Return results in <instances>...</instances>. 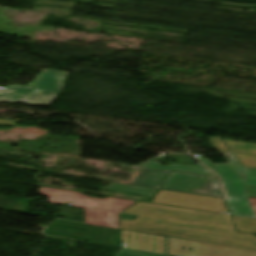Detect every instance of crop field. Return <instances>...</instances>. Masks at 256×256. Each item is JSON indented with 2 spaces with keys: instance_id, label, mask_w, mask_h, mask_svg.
Returning a JSON list of instances; mask_svg holds the SVG:
<instances>
[{
  "instance_id": "crop-field-7",
  "label": "crop field",
  "mask_w": 256,
  "mask_h": 256,
  "mask_svg": "<svg viewBox=\"0 0 256 256\" xmlns=\"http://www.w3.org/2000/svg\"><path fill=\"white\" fill-rule=\"evenodd\" d=\"M211 143L218 149L223 156L234 157L233 154L229 151L220 137H214L210 139ZM232 152H241V153H251L256 154V144L254 143H245V142H236V141H227L224 140Z\"/></svg>"
},
{
  "instance_id": "crop-field-2",
  "label": "crop field",
  "mask_w": 256,
  "mask_h": 256,
  "mask_svg": "<svg viewBox=\"0 0 256 256\" xmlns=\"http://www.w3.org/2000/svg\"><path fill=\"white\" fill-rule=\"evenodd\" d=\"M66 76L64 72L43 71L28 88L13 85L0 89V102L52 105L64 88Z\"/></svg>"
},
{
  "instance_id": "crop-field-9",
  "label": "crop field",
  "mask_w": 256,
  "mask_h": 256,
  "mask_svg": "<svg viewBox=\"0 0 256 256\" xmlns=\"http://www.w3.org/2000/svg\"><path fill=\"white\" fill-rule=\"evenodd\" d=\"M104 189L111 190V191H117V192L149 196V197H153V195L157 191L155 189L135 187V186L124 185V184H114V183H109V185L107 187H105Z\"/></svg>"
},
{
  "instance_id": "crop-field-4",
  "label": "crop field",
  "mask_w": 256,
  "mask_h": 256,
  "mask_svg": "<svg viewBox=\"0 0 256 256\" xmlns=\"http://www.w3.org/2000/svg\"><path fill=\"white\" fill-rule=\"evenodd\" d=\"M153 203L193 208L224 213L227 208L223 199L203 197L160 190L151 201Z\"/></svg>"
},
{
  "instance_id": "crop-field-8",
  "label": "crop field",
  "mask_w": 256,
  "mask_h": 256,
  "mask_svg": "<svg viewBox=\"0 0 256 256\" xmlns=\"http://www.w3.org/2000/svg\"><path fill=\"white\" fill-rule=\"evenodd\" d=\"M197 160L205 165L211 172L216 174L218 177L242 180L230 164L213 165L211 162L205 159L197 158Z\"/></svg>"
},
{
  "instance_id": "crop-field-5",
  "label": "crop field",
  "mask_w": 256,
  "mask_h": 256,
  "mask_svg": "<svg viewBox=\"0 0 256 256\" xmlns=\"http://www.w3.org/2000/svg\"><path fill=\"white\" fill-rule=\"evenodd\" d=\"M216 179L171 172L161 189L206 196Z\"/></svg>"
},
{
  "instance_id": "crop-field-3",
  "label": "crop field",
  "mask_w": 256,
  "mask_h": 256,
  "mask_svg": "<svg viewBox=\"0 0 256 256\" xmlns=\"http://www.w3.org/2000/svg\"><path fill=\"white\" fill-rule=\"evenodd\" d=\"M244 181L218 178L229 210L236 216L256 218L247 196L256 197V169L243 168L236 158L226 157Z\"/></svg>"
},
{
  "instance_id": "crop-field-12",
  "label": "crop field",
  "mask_w": 256,
  "mask_h": 256,
  "mask_svg": "<svg viewBox=\"0 0 256 256\" xmlns=\"http://www.w3.org/2000/svg\"><path fill=\"white\" fill-rule=\"evenodd\" d=\"M114 256H163V255L120 249Z\"/></svg>"
},
{
  "instance_id": "crop-field-13",
  "label": "crop field",
  "mask_w": 256,
  "mask_h": 256,
  "mask_svg": "<svg viewBox=\"0 0 256 256\" xmlns=\"http://www.w3.org/2000/svg\"><path fill=\"white\" fill-rule=\"evenodd\" d=\"M216 183L214 184V186L212 187V189L210 190V192L208 193L207 196L222 198V196L220 194L214 192Z\"/></svg>"
},
{
  "instance_id": "crop-field-1",
  "label": "crop field",
  "mask_w": 256,
  "mask_h": 256,
  "mask_svg": "<svg viewBox=\"0 0 256 256\" xmlns=\"http://www.w3.org/2000/svg\"><path fill=\"white\" fill-rule=\"evenodd\" d=\"M40 194L49 202H73L86 208L85 224L118 229L119 213L135 203L108 197L90 198L82 193L41 188ZM123 214L139 216L135 220L121 219V229L195 241L215 243L256 250V237L236 233L231 216L213 212L139 202ZM237 231L256 234V219L233 216Z\"/></svg>"
},
{
  "instance_id": "crop-field-10",
  "label": "crop field",
  "mask_w": 256,
  "mask_h": 256,
  "mask_svg": "<svg viewBox=\"0 0 256 256\" xmlns=\"http://www.w3.org/2000/svg\"><path fill=\"white\" fill-rule=\"evenodd\" d=\"M142 166L214 176L210 172H208L206 169L201 167L183 166V165L160 166L157 162H154V161H150Z\"/></svg>"
},
{
  "instance_id": "crop-field-14",
  "label": "crop field",
  "mask_w": 256,
  "mask_h": 256,
  "mask_svg": "<svg viewBox=\"0 0 256 256\" xmlns=\"http://www.w3.org/2000/svg\"><path fill=\"white\" fill-rule=\"evenodd\" d=\"M249 202L251 204V206L253 207L255 213H256V198H252V197H248Z\"/></svg>"
},
{
  "instance_id": "crop-field-11",
  "label": "crop field",
  "mask_w": 256,
  "mask_h": 256,
  "mask_svg": "<svg viewBox=\"0 0 256 256\" xmlns=\"http://www.w3.org/2000/svg\"><path fill=\"white\" fill-rule=\"evenodd\" d=\"M243 167L256 168V155L234 153Z\"/></svg>"
},
{
  "instance_id": "crop-field-15",
  "label": "crop field",
  "mask_w": 256,
  "mask_h": 256,
  "mask_svg": "<svg viewBox=\"0 0 256 256\" xmlns=\"http://www.w3.org/2000/svg\"><path fill=\"white\" fill-rule=\"evenodd\" d=\"M0 124L15 125V121L0 120Z\"/></svg>"
},
{
  "instance_id": "crop-field-6",
  "label": "crop field",
  "mask_w": 256,
  "mask_h": 256,
  "mask_svg": "<svg viewBox=\"0 0 256 256\" xmlns=\"http://www.w3.org/2000/svg\"><path fill=\"white\" fill-rule=\"evenodd\" d=\"M137 169L141 170L131 185L143 186L159 189L167 179L171 171L140 167Z\"/></svg>"
}]
</instances>
